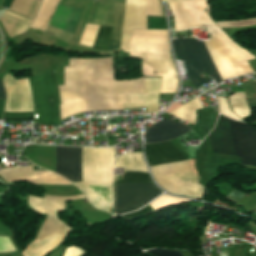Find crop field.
I'll use <instances>...</instances> for the list:
<instances>
[{
    "label": "crop field",
    "mask_w": 256,
    "mask_h": 256,
    "mask_svg": "<svg viewBox=\"0 0 256 256\" xmlns=\"http://www.w3.org/2000/svg\"><path fill=\"white\" fill-rule=\"evenodd\" d=\"M34 107H39V125H60L59 91L56 70L30 78ZM28 79L15 80L8 73L4 77L7 90L5 111H33Z\"/></svg>",
    "instance_id": "crop-field-1"
},
{
    "label": "crop field",
    "mask_w": 256,
    "mask_h": 256,
    "mask_svg": "<svg viewBox=\"0 0 256 256\" xmlns=\"http://www.w3.org/2000/svg\"><path fill=\"white\" fill-rule=\"evenodd\" d=\"M130 57L141 60L143 76L162 77L161 93H176L178 75L169 51L167 30H133Z\"/></svg>",
    "instance_id": "crop-field-2"
},
{
    "label": "crop field",
    "mask_w": 256,
    "mask_h": 256,
    "mask_svg": "<svg viewBox=\"0 0 256 256\" xmlns=\"http://www.w3.org/2000/svg\"><path fill=\"white\" fill-rule=\"evenodd\" d=\"M156 182L166 191L201 198L203 187L189 161L176 162L151 168Z\"/></svg>",
    "instance_id": "crop-field-3"
},
{
    "label": "crop field",
    "mask_w": 256,
    "mask_h": 256,
    "mask_svg": "<svg viewBox=\"0 0 256 256\" xmlns=\"http://www.w3.org/2000/svg\"><path fill=\"white\" fill-rule=\"evenodd\" d=\"M174 51L179 59L183 60L190 82L195 88L213 80L208 77L202 79L199 74L204 71L212 76L217 84L221 82L202 42L192 39H174Z\"/></svg>",
    "instance_id": "crop-field-4"
},
{
    "label": "crop field",
    "mask_w": 256,
    "mask_h": 256,
    "mask_svg": "<svg viewBox=\"0 0 256 256\" xmlns=\"http://www.w3.org/2000/svg\"><path fill=\"white\" fill-rule=\"evenodd\" d=\"M115 208L113 216L141 208L162 194L154 184L121 183L114 184Z\"/></svg>",
    "instance_id": "crop-field-5"
},
{
    "label": "crop field",
    "mask_w": 256,
    "mask_h": 256,
    "mask_svg": "<svg viewBox=\"0 0 256 256\" xmlns=\"http://www.w3.org/2000/svg\"><path fill=\"white\" fill-rule=\"evenodd\" d=\"M114 148H83V181L97 184L113 181Z\"/></svg>",
    "instance_id": "crop-field-6"
},
{
    "label": "crop field",
    "mask_w": 256,
    "mask_h": 256,
    "mask_svg": "<svg viewBox=\"0 0 256 256\" xmlns=\"http://www.w3.org/2000/svg\"><path fill=\"white\" fill-rule=\"evenodd\" d=\"M118 5L119 4L95 1L87 22L113 25ZM122 8H123V4H120L116 18H115V22L113 25L110 48H109V51L111 52H118ZM124 8H125V4H124ZM124 8H123V18H124ZM123 18H122V28H123ZM122 28H121V38H122ZM121 38H120V46H121ZM119 52H120V48H119Z\"/></svg>",
    "instance_id": "crop-field-7"
},
{
    "label": "crop field",
    "mask_w": 256,
    "mask_h": 256,
    "mask_svg": "<svg viewBox=\"0 0 256 256\" xmlns=\"http://www.w3.org/2000/svg\"><path fill=\"white\" fill-rule=\"evenodd\" d=\"M235 156L241 163L256 164V129L230 120Z\"/></svg>",
    "instance_id": "crop-field-8"
},
{
    "label": "crop field",
    "mask_w": 256,
    "mask_h": 256,
    "mask_svg": "<svg viewBox=\"0 0 256 256\" xmlns=\"http://www.w3.org/2000/svg\"><path fill=\"white\" fill-rule=\"evenodd\" d=\"M132 29H147L146 0H126L121 50L129 52Z\"/></svg>",
    "instance_id": "crop-field-9"
},
{
    "label": "crop field",
    "mask_w": 256,
    "mask_h": 256,
    "mask_svg": "<svg viewBox=\"0 0 256 256\" xmlns=\"http://www.w3.org/2000/svg\"><path fill=\"white\" fill-rule=\"evenodd\" d=\"M82 148L56 146L55 172L70 181H81Z\"/></svg>",
    "instance_id": "crop-field-10"
},
{
    "label": "crop field",
    "mask_w": 256,
    "mask_h": 256,
    "mask_svg": "<svg viewBox=\"0 0 256 256\" xmlns=\"http://www.w3.org/2000/svg\"><path fill=\"white\" fill-rule=\"evenodd\" d=\"M145 94L128 95L125 109L146 107L147 113L158 112V94H160L161 78H144Z\"/></svg>",
    "instance_id": "crop-field-11"
},
{
    "label": "crop field",
    "mask_w": 256,
    "mask_h": 256,
    "mask_svg": "<svg viewBox=\"0 0 256 256\" xmlns=\"http://www.w3.org/2000/svg\"><path fill=\"white\" fill-rule=\"evenodd\" d=\"M98 209L111 212L113 206L112 184L96 185L88 182H73Z\"/></svg>",
    "instance_id": "crop-field-12"
},
{
    "label": "crop field",
    "mask_w": 256,
    "mask_h": 256,
    "mask_svg": "<svg viewBox=\"0 0 256 256\" xmlns=\"http://www.w3.org/2000/svg\"><path fill=\"white\" fill-rule=\"evenodd\" d=\"M191 130L176 121L164 119L155 124L151 129H146V143H158L179 137Z\"/></svg>",
    "instance_id": "crop-field-13"
},
{
    "label": "crop field",
    "mask_w": 256,
    "mask_h": 256,
    "mask_svg": "<svg viewBox=\"0 0 256 256\" xmlns=\"http://www.w3.org/2000/svg\"><path fill=\"white\" fill-rule=\"evenodd\" d=\"M145 153L150 167L186 159L169 141L145 145Z\"/></svg>",
    "instance_id": "crop-field-14"
},
{
    "label": "crop field",
    "mask_w": 256,
    "mask_h": 256,
    "mask_svg": "<svg viewBox=\"0 0 256 256\" xmlns=\"http://www.w3.org/2000/svg\"><path fill=\"white\" fill-rule=\"evenodd\" d=\"M209 138L213 151L234 155L229 121L227 118L222 115L219 116L214 131L209 134Z\"/></svg>",
    "instance_id": "crop-field-15"
},
{
    "label": "crop field",
    "mask_w": 256,
    "mask_h": 256,
    "mask_svg": "<svg viewBox=\"0 0 256 256\" xmlns=\"http://www.w3.org/2000/svg\"><path fill=\"white\" fill-rule=\"evenodd\" d=\"M243 89H244L245 92L235 93V94H233L232 96L229 97L230 106L232 108V111L238 117L250 112V110L247 106V103H246V101H245V99L242 95L255 93L254 89L251 87L250 84L243 85ZM217 98H218L220 113H222V114H224V115H226V116H228L232 119L242 121L237 116H235L232 113V111L229 109L226 99H223V98L218 97V96H217Z\"/></svg>",
    "instance_id": "crop-field-16"
},
{
    "label": "crop field",
    "mask_w": 256,
    "mask_h": 256,
    "mask_svg": "<svg viewBox=\"0 0 256 256\" xmlns=\"http://www.w3.org/2000/svg\"><path fill=\"white\" fill-rule=\"evenodd\" d=\"M83 7L60 2L50 24L74 31Z\"/></svg>",
    "instance_id": "crop-field-17"
},
{
    "label": "crop field",
    "mask_w": 256,
    "mask_h": 256,
    "mask_svg": "<svg viewBox=\"0 0 256 256\" xmlns=\"http://www.w3.org/2000/svg\"><path fill=\"white\" fill-rule=\"evenodd\" d=\"M0 21L6 33L9 34L10 37L27 31L31 23V20L26 19L19 15H16L14 13H11L7 10L1 16Z\"/></svg>",
    "instance_id": "crop-field-18"
},
{
    "label": "crop field",
    "mask_w": 256,
    "mask_h": 256,
    "mask_svg": "<svg viewBox=\"0 0 256 256\" xmlns=\"http://www.w3.org/2000/svg\"><path fill=\"white\" fill-rule=\"evenodd\" d=\"M59 1L60 0H44L31 27L45 31Z\"/></svg>",
    "instance_id": "crop-field-19"
},
{
    "label": "crop field",
    "mask_w": 256,
    "mask_h": 256,
    "mask_svg": "<svg viewBox=\"0 0 256 256\" xmlns=\"http://www.w3.org/2000/svg\"><path fill=\"white\" fill-rule=\"evenodd\" d=\"M117 167L126 168V170L148 172L140 152L126 153L118 157Z\"/></svg>",
    "instance_id": "crop-field-20"
},
{
    "label": "crop field",
    "mask_w": 256,
    "mask_h": 256,
    "mask_svg": "<svg viewBox=\"0 0 256 256\" xmlns=\"http://www.w3.org/2000/svg\"><path fill=\"white\" fill-rule=\"evenodd\" d=\"M203 108L198 98L193 99L184 106L170 112L169 114L178 117L194 125L196 119V109Z\"/></svg>",
    "instance_id": "crop-field-21"
},
{
    "label": "crop field",
    "mask_w": 256,
    "mask_h": 256,
    "mask_svg": "<svg viewBox=\"0 0 256 256\" xmlns=\"http://www.w3.org/2000/svg\"><path fill=\"white\" fill-rule=\"evenodd\" d=\"M112 28L100 26L93 48L108 50Z\"/></svg>",
    "instance_id": "crop-field-22"
},
{
    "label": "crop field",
    "mask_w": 256,
    "mask_h": 256,
    "mask_svg": "<svg viewBox=\"0 0 256 256\" xmlns=\"http://www.w3.org/2000/svg\"><path fill=\"white\" fill-rule=\"evenodd\" d=\"M120 182H149L152 183L150 177L146 173L126 172L124 180H114V183Z\"/></svg>",
    "instance_id": "crop-field-23"
},
{
    "label": "crop field",
    "mask_w": 256,
    "mask_h": 256,
    "mask_svg": "<svg viewBox=\"0 0 256 256\" xmlns=\"http://www.w3.org/2000/svg\"><path fill=\"white\" fill-rule=\"evenodd\" d=\"M148 15L163 16V6L159 0H147Z\"/></svg>",
    "instance_id": "crop-field-24"
},
{
    "label": "crop field",
    "mask_w": 256,
    "mask_h": 256,
    "mask_svg": "<svg viewBox=\"0 0 256 256\" xmlns=\"http://www.w3.org/2000/svg\"><path fill=\"white\" fill-rule=\"evenodd\" d=\"M155 212L152 207L148 204L147 206H145L143 209L134 212V213H130V214H125V215H121L120 217L127 219V220H134L146 215H149L151 213Z\"/></svg>",
    "instance_id": "crop-field-25"
},
{
    "label": "crop field",
    "mask_w": 256,
    "mask_h": 256,
    "mask_svg": "<svg viewBox=\"0 0 256 256\" xmlns=\"http://www.w3.org/2000/svg\"><path fill=\"white\" fill-rule=\"evenodd\" d=\"M33 112L29 113H10L5 112L4 120H24V121H32Z\"/></svg>",
    "instance_id": "crop-field-26"
},
{
    "label": "crop field",
    "mask_w": 256,
    "mask_h": 256,
    "mask_svg": "<svg viewBox=\"0 0 256 256\" xmlns=\"http://www.w3.org/2000/svg\"><path fill=\"white\" fill-rule=\"evenodd\" d=\"M148 254L151 256H182L179 252L175 251H168V250H162V249H153L150 251H147Z\"/></svg>",
    "instance_id": "crop-field-27"
},
{
    "label": "crop field",
    "mask_w": 256,
    "mask_h": 256,
    "mask_svg": "<svg viewBox=\"0 0 256 256\" xmlns=\"http://www.w3.org/2000/svg\"><path fill=\"white\" fill-rule=\"evenodd\" d=\"M15 248L8 237H0V252H12Z\"/></svg>",
    "instance_id": "crop-field-28"
},
{
    "label": "crop field",
    "mask_w": 256,
    "mask_h": 256,
    "mask_svg": "<svg viewBox=\"0 0 256 256\" xmlns=\"http://www.w3.org/2000/svg\"><path fill=\"white\" fill-rule=\"evenodd\" d=\"M84 254L86 253L82 251L80 248L71 246L66 250L64 256H83Z\"/></svg>",
    "instance_id": "crop-field-29"
},
{
    "label": "crop field",
    "mask_w": 256,
    "mask_h": 256,
    "mask_svg": "<svg viewBox=\"0 0 256 256\" xmlns=\"http://www.w3.org/2000/svg\"><path fill=\"white\" fill-rule=\"evenodd\" d=\"M243 195L244 193H241L234 188L226 198L235 204Z\"/></svg>",
    "instance_id": "crop-field-30"
},
{
    "label": "crop field",
    "mask_w": 256,
    "mask_h": 256,
    "mask_svg": "<svg viewBox=\"0 0 256 256\" xmlns=\"http://www.w3.org/2000/svg\"><path fill=\"white\" fill-rule=\"evenodd\" d=\"M254 77L256 78V74L254 75ZM251 85L256 90V83H252ZM248 102H249L250 107L256 106V99H249Z\"/></svg>",
    "instance_id": "crop-field-31"
},
{
    "label": "crop field",
    "mask_w": 256,
    "mask_h": 256,
    "mask_svg": "<svg viewBox=\"0 0 256 256\" xmlns=\"http://www.w3.org/2000/svg\"><path fill=\"white\" fill-rule=\"evenodd\" d=\"M4 105H5V99H0V119H2Z\"/></svg>",
    "instance_id": "crop-field-32"
},
{
    "label": "crop field",
    "mask_w": 256,
    "mask_h": 256,
    "mask_svg": "<svg viewBox=\"0 0 256 256\" xmlns=\"http://www.w3.org/2000/svg\"><path fill=\"white\" fill-rule=\"evenodd\" d=\"M0 97L1 98H6V95H5L4 88H3L1 80H0Z\"/></svg>",
    "instance_id": "crop-field-33"
},
{
    "label": "crop field",
    "mask_w": 256,
    "mask_h": 256,
    "mask_svg": "<svg viewBox=\"0 0 256 256\" xmlns=\"http://www.w3.org/2000/svg\"><path fill=\"white\" fill-rule=\"evenodd\" d=\"M40 2H41V1H40ZM39 5H40V3H39ZM39 5H38V7H39ZM38 7H37V9H38ZM36 11H37V10H36ZM35 13H36V12H35ZM34 16H35V14H34ZM34 16H33V17H34Z\"/></svg>",
    "instance_id": "crop-field-34"
},
{
    "label": "crop field",
    "mask_w": 256,
    "mask_h": 256,
    "mask_svg": "<svg viewBox=\"0 0 256 256\" xmlns=\"http://www.w3.org/2000/svg\"><path fill=\"white\" fill-rule=\"evenodd\" d=\"M172 1V0H165V2Z\"/></svg>",
    "instance_id": "crop-field-35"
},
{
    "label": "crop field",
    "mask_w": 256,
    "mask_h": 256,
    "mask_svg": "<svg viewBox=\"0 0 256 256\" xmlns=\"http://www.w3.org/2000/svg\"><path fill=\"white\" fill-rule=\"evenodd\" d=\"M255 212H256V208H255V210H254Z\"/></svg>",
    "instance_id": "crop-field-36"
}]
</instances>
